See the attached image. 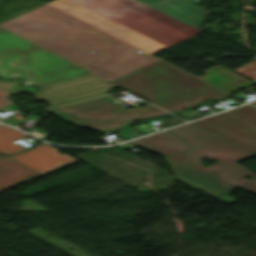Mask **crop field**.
I'll return each mask as SVG.
<instances>
[{
	"mask_svg": "<svg viewBox=\"0 0 256 256\" xmlns=\"http://www.w3.org/2000/svg\"><path fill=\"white\" fill-rule=\"evenodd\" d=\"M0 27L108 82L159 60L123 42L153 54L202 32L137 0H54Z\"/></svg>",
	"mask_w": 256,
	"mask_h": 256,
	"instance_id": "8a807250",
	"label": "crop field"
},
{
	"mask_svg": "<svg viewBox=\"0 0 256 256\" xmlns=\"http://www.w3.org/2000/svg\"><path fill=\"white\" fill-rule=\"evenodd\" d=\"M129 143L162 155L195 146L196 149L164 157L176 179L227 204L238 201L228 196L233 189L242 187L256 193L254 174L235 163L255 155L192 123ZM202 157L219 163L202 167Z\"/></svg>",
	"mask_w": 256,
	"mask_h": 256,
	"instance_id": "ac0d7876",
	"label": "crop field"
},
{
	"mask_svg": "<svg viewBox=\"0 0 256 256\" xmlns=\"http://www.w3.org/2000/svg\"><path fill=\"white\" fill-rule=\"evenodd\" d=\"M111 82L172 113L206 99L228 95L162 60Z\"/></svg>",
	"mask_w": 256,
	"mask_h": 256,
	"instance_id": "34b2d1b8",
	"label": "crop field"
},
{
	"mask_svg": "<svg viewBox=\"0 0 256 256\" xmlns=\"http://www.w3.org/2000/svg\"><path fill=\"white\" fill-rule=\"evenodd\" d=\"M85 73L89 72L0 29V76L42 85Z\"/></svg>",
	"mask_w": 256,
	"mask_h": 256,
	"instance_id": "412701ff",
	"label": "crop field"
},
{
	"mask_svg": "<svg viewBox=\"0 0 256 256\" xmlns=\"http://www.w3.org/2000/svg\"><path fill=\"white\" fill-rule=\"evenodd\" d=\"M36 93L38 99L50 103L46 111L108 96L104 93L114 85L89 73L42 86Z\"/></svg>",
	"mask_w": 256,
	"mask_h": 256,
	"instance_id": "f4fd0767",
	"label": "crop field"
},
{
	"mask_svg": "<svg viewBox=\"0 0 256 256\" xmlns=\"http://www.w3.org/2000/svg\"><path fill=\"white\" fill-rule=\"evenodd\" d=\"M193 123L256 153V109L249 105Z\"/></svg>",
	"mask_w": 256,
	"mask_h": 256,
	"instance_id": "dd49c442",
	"label": "crop field"
},
{
	"mask_svg": "<svg viewBox=\"0 0 256 256\" xmlns=\"http://www.w3.org/2000/svg\"><path fill=\"white\" fill-rule=\"evenodd\" d=\"M11 157L43 175L77 162L67 154L57 153V149L45 143L27 152L11 155Z\"/></svg>",
	"mask_w": 256,
	"mask_h": 256,
	"instance_id": "e52e79f7",
	"label": "crop field"
},
{
	"mask_svg": "<svg viewBox=\"0 0 256 256\" xmlns=\"http://www.w3.org/2000/svg\"><path fill=\"white\" fill-rule=\"evenodd\" d=\"M163 114L168 113L153 105H148L144 106V108H133L129 110H123L72 124L78 126H88L98 131H103L122 127L131 121L159 116Z\"/></svg>",
	"mask_w": 256,
	"mask_h": 256,
	"instance_id": "d8731c3e",
	"label": "crop field"
},
{
	"mask_svg": "<svg viewBox=\"0 0 256 256\" xmlns=\"http://www.w3.org/2000/svg\"><path fill=\"white\" fill-rule=\"evenodd\" d=\"M123 109L125 108L114 102L109 96L94 101L48 111L47 113L51 112L62 120L72 123Z\"/></svg>",
	"mask_w": 256,
	"mask_h": 256,
	"instance_id": "5a996713",
	"label": "crop field"
},
{
	"mask_svg": "<svg viewBox=\"0 0 256 256\" xmlns=\"http://www.w3.org/2000/svg\"><path fill=\"white\" fill-rule=\"evenodd\" d=\"M150 6L198 30L210 13L187 0H162Z\"/></svg>",
	"mask_w": 256,
	"mask_h": 256,
	"instance_id": "3316defc",
	"label": "crop field"
},
{
	"mask_svg": "<svg viewBox=\"0 0 256 256\" xmlns=\"http://www.w3.org/2000/svg\"><path fill=\"white\" fill-rule=\"evenodd\" d=\"M39 176L42 175L9 156L0 158V191Z\"/></svg>",
	"mask_w": 256,
	"mask_h": 256,
	"instance_id": "28ad6ade",
	"label": "crop field"
},
{
	"mask_svg": "<svg viewBox=\"0 0 256 256\" xmlns=\"http://www.w3.org/2000/svg\"><path fill=\"white\" fill-rule=\"evenodd\" d=\"M202 79L221 88L231 94L237 87L252 84L254 82L226 69L221 65H216L206 71Z\"/></svg>",
	"mask_w": 256,
	"mask_h": 256,
	"instance_id": "d1516ede",
	"label": "crop field"
},
{
	"mask_svg": "<svg viewBox=\"0 0 256 256\" xmlns=\"http://www.w3.org/2000/svg\"><path fill=\"white\" fill-rule=\"evenodd\" d=\"M25 136L27 135L22 134L10 127L0 125V152L9 154L26 149L13 143V141Z\"/></svg>",
	"mask_w": 256,
	"mask_h": 256,
	"instance_id": "22f410ed",
	"label": "crop field"
},
{
	"mask_svg": "<svg viewBox=\"0 0 256 256\" xmlns=\"http://www.w3.org/2000/svg\"><path fill=\"white\" fill-rule=\"evenodd\" d=\"M234 71L256 82V58Z\"/></svg>",
	"mask_w": 256,
	"mask_h": 256,
	"instance_id": "cbeb9de0",
	"label": "crop field"
},
{
	"mask_svg": "<svg viewBox=\"0 0 256 256\" xmlns=\"http://www.w3.org/2000/svg\"><path fill=\"white\" fill-rule=\"evenodd\" d=\"M120 131H122L125 134L127 140L141 135L140 133L136 132L135 130L128 126Z\"/></svg>",
	"mask_w": 256,
	"mask_h": 256,
	"instance_id": "5142ce71",
	"label": "crop field"
},
{
	"mask_svg": "<svg viewBox=\"0 0 256 256\" xmlns=\"http://www.w3.org/2000/svg\"><path fill=\"white\" fill-rule=\"evenodd\" d=\"M10 95L9 93L5 92L4 90L0 89V108L13 103L9 99L5 98L6 96Z\"/></svg>",
	"mask_w": 256,
	"mask_h": 256,
	"instance_id": "d9b57169",
	"label": "crop field"
},
{
	"mask_svg": "<svg viewBox=\"0 0 256 256\" xmlns=\"http://www.w3.org/2000/svg\"><path fill=\"white\" fill-rule=\"evenodd\" d=\"M139 1H141V2H143L145 4H147V5H150V4H152L154 2H157L159 0H139ZM189 1L194 2V1H198V0H189Z\"/></svg>",
	"mask_w": 256,
	"mask_h": 256,
	"instance_id": "733c2abd",
	"label": "crop field"
},
{
	"mask_svg": "<svg viewBox=\"0 0 256 256\" xmlns=\"http://www.w3.org/2000/svg\"><path fill=\"white\" fill-rule=\"evenodd\" d=\"M41 89H42L41 86L38 87V89H37L36 91H34V93L38 92V91L41 90Z\"/></svg>",
	"mask_w": 256,
	"mask_h": 256,
	"instance_id": "4a817a6b",
	"label": "crop field"
},
{
	"mask_svg": "<svg viewBox=\"0 0 256 256\" xmlns=\"http://www.w3.org/2000/svg\"><path fill=\"white\" fill-rule=\"evenodd\" d=\"M252 105H254V106H256V101L255 102H253V103H251Z\"/></svg>",
	"mask_w": 256,
	"mask_h": 256,
	"instance_id": "bc2a9ffb",
	"label": "crop field"
},
{
	"mask_svg": "<svg viewBox=\"0 0 256 256\" xmlns=\"http://www.w3.org/2000/svg\"><path fill=\"white\" fill-rule=\"evenodd\" d=\"M17 86V85H16Z\"/></svg>",
	"mask_w": 256,
	"mask_h": 256,
	"instance_id": "214f88e0",
	"label": "crop field"
}]
</instances>
